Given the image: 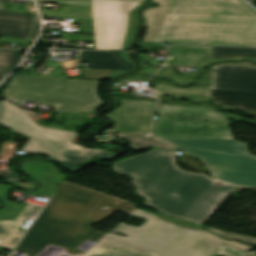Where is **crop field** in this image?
<instances>
[{
    "label": "crop field",
    "instance_id": "crop-field-3",
    "mask_svg": "<svg viewBox=\"0 0 256 256\" xmlns=\"http://www.w3.org/2000/svg\"><path fill=\"white\" fill-rule=\"evenodd\" d=\"M154 42L256 47V12L241 0H174Z\"/></svg>",
    "mask_w": 256,
    "mask_h": 256
},
{
    "label": "crop field",
    "instance_id": "crop-field-19",
    "mask_svg": "<svg viewBox=\"0 0 256 256\" xmlns=\"http://www.w3.org/2000/svg\"><path fill=\"white\" fill-rule=\"evenodd\" d=\"M42 15L92 20L91 7L64 5L62 12L40 10Z\"/></svg>",
    "mask_w": 256,
    "mask_h": 256
},
{
    "label": "crop field",
    "instance_id": "crop-field-21",
    "mask_svg": "<svg viewBox=\"0 0 256 256\" xmlns=\"http://www.w3.org/2000/svg\"><path fill=\"white\" fill-rule=\"evenodd\" d=\"M234 57L256 58V49L213 47L212 59H228Z\"/></svg>",
    "mask_w": 256,
    "mask_h": 256
},
{
    "label": "crop field",
    "instance_id": "crop-field-6",
    "mask_svg": "<svg viewBox=\"0 0 256 256\" xmlns=\"http://www.w3.org/2000/svg\"><path fill=\"white\" fill-rule=\"evenodd\" d=\"M199 157L216 180L256 188V156L235 140L156 137Z\"/></svg>",
    "mask_w": 256,
    "mask_h": 256
},
{
    "label": "crop field",
    "instance_id": "crop-field-28",
    "mask_svg": "<svg viewBox=\"0 0 256 256\" xmlns=\"http://www.w3.org/2000/svg\"><path fill=\"white\" fill-rule=\"evenodd\" d=\"M44 67H55L54 77L66 78L63 70L59 68L60 67L59 63L46 61Z\"/></svg>",
    "mask_w": 256,
    "mask_h": 256
},
{
    "label": "crop field",
    "instance_id": "crop-field-30",
    "mask_svg": "<svg viewBox=\"0 0 256 256\" xmlns=\"http://www.w3.org/2000/svg\"><path fill=\"white\" fill-rule=\"evenodd\" d=\"M39 28H40V23H39L38 17L35 16L31 41H34V39L39 31Z\"/></svg>",
    "mask_w": 256,
    "mask_h": 256
},
{
    "label": "crop field",
    "instance_id": "crop-field-10",
    "mask_svg": "<svg viewBox=\"0 0 256 256\" xmlns=\"http://www.w3.org/2000/svg\"><path fill=\"white\" fill-rule=\"evenodd\" d=\"M139 2L92 0L96 49L121 50L128 13Z\"/></svg>",
    "mask_w": 256,
    "mask_h": 256
},
{
    "label": "crop field",
    "instance_id": "crop-field-18",
    "mask_svg": "<svg viewBox=\"0 0 256 256\" xmlns=\"http://www.w3.org/2000/svg\"><path fill=\"white\" fill-rule=\"evenodd\" d=\"M157 95L162 96H202L210 97V88H180L176 86L156 85L153 89Z\"/></svg>",
    "mask_w": 256,
    "mask_h": 256
},
{
    "label": "crop field",
    "instance_id": "crop-field-20",
    "mask_svg": "<svg viewBox=\"0 0 256 256\" xmlns=\"http://www.w3.org/2000/svg\"><path fill=\"white\" fill-rule=\"evenodd\" d=\"M14 187L4 184L0 185V197L7 204L4 209L0 210V220H11L16 218L26 205L16 204L7 201L8 191Z\"/></svg>",
    "mask_w": 256,
    "mask_h": 256
},
{
    "label": "crop field",
    "instance_id": "crop-field-2",
    "mask_svg": "<svg viewBox=\"0 0 256 256\" xmlns=\"http://www.w3.org/2000/svg\"><path fill=\"white\" fill-rule=\"evenodd\" d=\"M137 207L116 198L90 189L63 183L35 221L17 251L27 256H37L48 244L68 249L76 255V250L86 240L96 242L104 233L88 227L109 217L115 210L129 215Z\"/></svg>",
    "mask_w": 256,
    "mask_h": 256
},
{
    "label": "crop field",
    "instance_id": "crop-field-7",
    "mask_svg": "<svg viewBox=\"0 0 256 256\" xmlns=\"http://www.w3.org/2000/svg\"><path fill=\"white\" fill-rule=\"evenodd\" d=\"M0 124L30 138L23 151L45 153L71 169L92 157H98L96 149L71 143L76 132L39 127L25 111L5 100L0 102Z\"/></svg>",
    "mask_w": 256,
    "mask_h": 256
},
{
    "label": "crop field",
    "instance_id": "crop-field-16",
    "mask_svg": "<svg viewBox=\"0 0 256 256\" xmlns=\"http://www.w3.org/2000/svg\"><path fill=\"white\" fill-rule=\"evenodd\" d=\"M79 61L87 62L88 69L131 70L133 65L122 60L117 52L82 51Z\"/></svg>",
    "mask_w": 256,
    "mask_h": 256
},
{
    "label": "crop field",
    "instance_id": "crop-field-11",
    "mask_svg": "<svg viewBox=\"0 0 256 256\" xmlns=\"http://www.w3.org/2000/svg\"><path fill=\"white\" fill-rule=\"evenodd\" d=\"M156 102L121 99V106L107 115L116 121L109 132L116 134L150 133Z\"/></svg>",
    "mask_w": 256,
    "mask_h": 256
},
{
    "label": "crop field",
    "instance_id": "crop-field-34",
    "mask_svg": "<svg viewBox=\"0 0 256 256\" xmlns=\"http://www.w3.org/2000/svg\"><path fill=\"white\" fill-rule=\"evenodd\" d=\"M0 9L4 10L3 7H2V5H1V3H0Z\"/></svg>",
    "mask_w": 256,
    "mask_h": 256
},
{
    "label": "crop field",
    "instance_id": "crop-field-31",
    "mask_svg": "<svg viewBox=\"0 0 256 256\" xmlns=\"http://www.w3.org/2000/svg\"><path fill=\"white\" fill-rule=\"evenodd\" d=\"M225 243L230 244V245H233V246H236V247H238V248H241V249H244V250H247V251H249V250H251V249L254 248V247L242 245V244H240V243H238V242H235V241H229V240H227Z\"/></svg>",
    "mask_w": 256,
    "mask_h": 256
},
{
    "label": "crop field",
    "instance_id": "crop-field-5",
    "mask_svg": "<svg viewBox=\"0 0 256 256\" xmlns=\"http://www.w3.org/2000/svg\"><path fill=\"white\" fill-rule=\"evenodd\" d=\"M99 82L15 75L4 90V98L19 106L33 101L56 105L55 112L90 113L104 104L97 94Z\"/></svg>",
    "mask_w": 256,
    "mask_h": 256
},
{
    "label": "crop field",
    "instance_id": "crop-field-29",
    "mask_svg": "<svg viewBox=\"0 0 256 256\" xmlns=\"http://www.w3.org/2000/svg\"><path fill=\"white\" fill-rule=\"evenodd\" d=\"M160 215H161L162 217L168 219V220L176 221V222L181 223V224H183V225H185V226H187V227L201 228V229H202V227L199 226V225H195V224H192V223H189V222H185V221H182V220H179V219H175V218H172V217H168V216H165V215H162V214H160Z\"/></svg>",
    "mask_w": 256,
    "mask_h": 256
},
{
    "label": "crop field",
    "instance_id": "crop-field-12",
    "mask_svg": "<svg viewBox=\"0 0 256 256\" xmlns=\"http://www.w3.org/2000/svg\"><path fill=\"white\" fill-rule=\"evenodd\" d=\"M23 167L28 174L42 181V187L33 193L35 196L52 198L55 193L54 185L61 184L67 179V176L60 173L50 162H24Z\"/></svg>",
    "mask_w": 256,
    "mask_h": 256
},
{
    "label": "crop field",
    "instance_id": "crop-field-1",
    "mask_svg": "<svg viewBox=\"0 0 256 256\" xmlns=\"http://www.w3.org/2000/svg\"><path fill=\"white\" fill-rule=\"evenodd\" d=\"M113 165L117 173L135 178L146 205L199 225L237 187L178 169L172 151L151 150Z\"/></svg>",
    "mask_w": 256,
    "mask_h": 256
},
{
    "label": "crop field",
    "instance_id": "crop-field-27",
    "mask_svg": "<svg viewBox=\"0 0 256 256\" xmlns=\"http://www.w3.org/2000/svg\"><path fill=\"white\" fill-rule=\"evenodd\" d=\"M37 2L91 6V0H37Z\"/></svg>",
    "mask_w": 256,
    "mask_h": 256
},
{
    "label": "crop field",
    "instance_id": "crop-field-22",
    "mask_svg": "<svg viewBox=\"0 0 256 256\" xmlns=\"http://www.w3.org/2000/svg\"><path fill=\"white\" fill-rule=\"evenodd\" d=\"M19 50H0V79H4L18 64Z\"/></svg>",
    "mask_w": 256,
    "mask_h": 256
},
{
    "label": "crop field",
    "instance_id": "crop-field-13",
    "mask_svg": "<svg viewBox=\"0 0 256 256\" xmlns=\"http://www.w3.org/2000/svg\"><path fill=\"white\" fill-rule=\"evenodd\" d=\"M33 15L0 10V36L30 40Z\"/></svg>",
    "mask_w": 256,
    "mask_h": 256
},
{
    "label": "crop field",
    "instance_id": "crop-field-32",
    "mask_svg": "<svg viewBox=\"0 0 256 256\" xmlns=\"http://www.w3.org/2000/svg\"><path fill=\"white\" fill-rule=\"evenodd\" d=\"M123 82H124V80H122V81L118 82L117 84H115V85H114V91H116V88H117L119 85L123 84Z\"/></svg>",
    "mask_w": 256,
    "mask_h": 256
},
{
    "label": "crop field",
    "instance_id": "crop-field-17",
    "mask_svg": "<svg viewBox=\"0 0 256 256\" xmlns=\"http://www.w3.org/2000/svg\"><path fill=\"white\" fill-rule=\"evenodd\" d=\"M159 7L146 10L144 12V18L147 21L149 30L143 41L153 42L173 0H153Z\"/></svg>",
    "mask_w": 256,
    "mask_h": 256
},
{
    "label": "crop field",
    "instance_id": "crop-field-33",
    "mask_svg": "<svg viewBox=\"0 0 256 256\" xmlns=\"http://www.w3.org/2000/svg\"><path fill=\"white\" fill-rule=\"evenodd\" d=\"M123 1H139V2H144V0H123Z\"/></svg>",
    "mask_w": 256,
    "mask_h": 256
},
{
    "label": "crop field",
    "instance_id": "crop-field-26",
    "mask_svg": "<svg viewBox=\"0 0 256 256\" xmlns=\"http://www.w3.org/2000/svg\"><path fill=\"white\" fill-rule=\"evenodd\" d=\"M205 229H207V230H209V231H211L215 234H218L222 237H225V238L236 239V240H240V241H243V242H246V243L256 245V238H254V237H249V236H245V235L225 232V231H221V230H217V229H213V228H209V227H205Z\"/></svg>",
    "mask_w": 256,
    "mask_h": 256
},
{
    "label": "crop field",
    "instance_id": "crop-field-35",
    "mask_svg": "<svg viewBox=\"0 0 256 256\" xmlns=\"http://www.w3.org/2000/svg\"><path fill=\"white\" fill-rule=\"evenodd\" d=\"M247 1H249V0H247Z\"/></svg>",
    "mask_w": 256,
    "mask_h": 256
},
{
    "label": "crop field",
    "instance_id": "crop-field-4",
    "mask_svg": "<svg viewBox=\"0 0 256 256\" xmlns=\"http://www.w3.org/2000/svg\"><path fill=\"white\" fill-rule=\"evenodd\" d=\"M129 216L147 221L140 227L121 223L83 256H208L226 240L204 230L181 228L137 208Z\"/></svg>",
    "mask_w": 256,
    "mask_h": 256
},
{
    "label": "crop field",
    "instance_id": "crop-field-15",
    "mask_svg": "<svg viewBox=\"0 0 256 256\" xmlns=\"http://www.w3.org/2000/svg\"><path fill=\"white\" fill-rule=\"evenodd\" d=\"M41 206L29 204L21 214L11 221H0V246L14 249L16 243L23 236L19 229L23 226L26 218L32 213H39Z\"/></svg>",
    "mask_w": 256,
    "mask_h": 256
},
{
    "label": "crop field",
    "instance_id": "crop-field-24",
    "mask_svg": "<svg viewBox=\"0 0 256 256\" xmlns=\"http://www.w3.org/2000/svg\"><path fill=\"white\" fill-rule=\"evenodd\" d=\"M140 4V3H139ZM144 5V3H141L139 6H137L133 11H131L129 13V22H128V28H127V33H126V37H125V41H124V45H123V49L122 50H128L129 49V45L131 43V40L135 34L136 28H137V16H136V12L137 10L142 7Z\"/></svg>",
    "mask_w": 256,
    "mask_h": 256
},
{
    "label": "crop field",
    "instance_id": "crop-field-23",
    "mask_svg": "<svg viewBox=\"0 0 256 256\" xmlns=\"http://www.w3.org/2000/svg\"><path fill=\"white\" fill-rule=\"evenodd\" d=\"M119 136L128 138L131 142L132 148L148 147V146L164 147V148L170 147L169 145L159 142L153 138H143L144 135H119Z\"/></svg>",
    "mask_w": 256,
    "mask_h": 256
},
{
    "label": "crop field",
    "instance_id": "crop-field-25",
    "mask_svg": "<svg viewBox=\"0 0 256 256\" xmlns=\"http://www.w3.org/2000/svg\"><path fill=\"white\" fill-rule=\"evenodd\" d=\"M221 254L223 256H256V251L250 253L236 247L223 244L218 249H216L210 256H215Z\"/></svg>",
    "mask_w": 256,
    "mask_h": 256
},
{
    "label": "crop field",
    "instance_id": "crop-field-9",
    "mask_svg": "<svg viewBox=\"0 0 256 256\" xmlns=\"http://www.w3.org/2000/svg\"><path fill=\"white\" fill-rule=\"evenodd\" d=\"M210 101L256 116V65L242 62L213 66Z\"/></svg>",
    "mask_w": 256,
    "mask_h": 256
},
{
    "label": "crop field",
    "instance_id": "crop-field-8",
    "mask_svg": "<svg viewBox=\"0 0 256 256\" xmlns=\"http://www.w3.org/2000/svg\"><path fill=\"white\" fill-rule=\"evenodd\" d=\"M153 136L233 139L224 114L213 108L159 105Z\"/></svg>",
    "mask_w": 256,
    "mask_h": 256
},
{
    "label": "crop field",
    "instance_id": "crop-field-14",
    "mask_svg": "<svg viewBox=\"0 0 256 256\" xmlns=\"http://www.w3.org/2000/svg\"><path fill=\"white\" fill-rule=\"evenodd\" d=\"M169 50L175 56L172 66L200 67L211 60L212 47L179 45Z\"/></svg>",
    "mask_w": 256,
    "mask_h": 256
}]
</instances>
